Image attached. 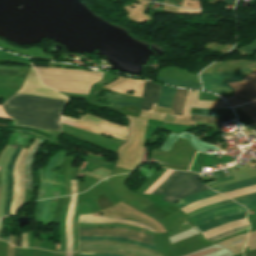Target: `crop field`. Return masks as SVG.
I'll list each match as a JSON object with an SVG mask.
<instances>
[{
    "label": "crop field",
    "mask_w": 256,
    "mask_h": 256,
    "mask_svg": "<svg viewBox=\"0 0 256 256\" xmlns=\"http://www.w3.org/2000/svg\"><path fill=\"white\" fill-rule=\"evenodd\" d=\"M67 102L15 94L0 109L14 124L60 131L59 116Z\"/></svg>",
    "instance_id": "obj_1"
},
{
    "label": "crop field",
    "mask_w": 256,
    "mask_h": 256,
    "mask_svg": "<svg viewBox=\"0 0 256 256\" xmlns=\"http://www.w3.org/2000/svg\"><path fill=\"white\" fill-rule=\"evenodd\" d=\"M42 83L56 91L88 94L104 73L34 66Z\"/></svg>",
    "instance_id": "obj_2"
},
{
    "label": "crop field",
    "mask_w": 256,
    "mask_h": 256,
    "mask_svg": "<svg viewBox=\"0 0 256 256\" xmlns=\"http://www.w3.org/2000/svg\"><path fill=\"white\" fill-rule=\"evenodd\" d=\"M254 184H256V177L245 180V181H241L238 183H233V184H229V185H225V186L216 187L212 190L222 193V192H226V191H230V190H234V189H238V188H242V187H246V186H250V185H254Z\"/></svg>",
    "instance_id": "obj_21"
},
{
    "label": "crop field",
    "mask_w": 256,
    "mask_h": 256,
    "mask_svg": "<svg viewBox=\"0 0 256 256\" xmlns=\"http://www.w3.org/2000/svg\"><path fill=\"white\" fill-rule=\"evenodd\" d=\"M79 236H116L153 244L152 236L125 229L79 228Z\"/></svg>",
    "instance_id": "obj_6"
},
{
    "label": "crop field",
    "mask_w": 256,
    "mask_h": 256,
    "mask_svg": "<svg viewBox=\"0 0 256 256\" xmlns=\"http://www.w3.org/2000/svg\"><path fill=\"white\" fill-rule=\"evenodd\" d=\"M255 188H256V185L250 186V187H246V188H242V189H238V190H234V191H230V192H226V193H222V194H225V195H227V196H230V195H234V194L246 192V191H248V190L255 189ZM253 192H256V189H255V190H251V191L246 192V193L238 194V195H235V196H230V197H231V198L240 197V196H244V195L251 194V193H253ZM252 196H256V193L251 194V195H248V196L240 197V198H235V199H233V200L236 201V200H240V199H244V198H248V197H252Z\"/></svg>",
    "instance_id": "obj_24"
},
{
    "label": "crop field",
    "mask_w": 256,
    "mask_h": 256,
    "mask_svg": "<svg viewBox=\"0 0 256 256\" xmlns=\"http://www.w3.org/2000/svg\"><path fill=\"white\" fill-rule=\"evenodd\" d=\"M156 80L164 82V83L176 85V86L201 89L200 85L197 84V83H191V82H185V81H180V80H174V79H169V78H164V77H159V76H157Z\"/></svg>",
    "instance_id": "obj_27"
},
{
    "label": "crop field",
    "mask_w": 256,
    "mask_h": 256,
    "mask_svg": "<svg viewBox=\"0 0 256 256\" xmlns=\"http://www.w3.org/2000/svg\"><path fill=\"white\" fill-rule=\"evenodd\" d=\"M114 105H133V106H139L140 104H134V103H113Z\"/></svg>",
    "instance_id": "obj_45"
},
{
    "label": "crop field",
    "mask_w": 256,
    "mask_h": 256,
    "mask_svg": "<svg viewBox=\"0 0 256 256\" xmlns=\"http://www.w3.org/2000/svg\"><path fill=\"white\" fill-rule=\"evenodd\" d=\"M80 244H114V245H120L144 252H148L154 255H159L162 256V254L158 251L150 250L147 248L123 243V242H115V241H80ZM79 252H99V253H118L124 256H154L151 254L123 248V247H118V246H113V245H80L79 247Z\"/></svg>",
    "instance_id": "obj_5"
},
{
    "label": "crop field",
    "mask_w": 256,
    "mask_h": 256,
    "mask_svg": "<svg viewBox=\"0 0 256 256\" xmlns=\"http://www.w3.org/2000/svg\"><path fill=\"white\" fill-rule=\"evenodd\" d=\"M248 228H249V225L244 226V227H240V228H237V229L229 230V231L224 232V233H222V234H220V235H217V236H215V237H212V238H210V239H208V240L216 241V240L225 238V237H227V236H230V235H232V234H234V233L247 230Z\"/></svg>",
    "instance_id": "obj_28"
},
{
    "label": "crop field",
    "mask_w": 256,
    "mask_h": 256,
    "mask_svg": "<svg viewBox=\"0 0 256 256\" xmlns=\"http://www.w3.org/2000/svg\"><path fill=\"white\" fill-rule=\"evenodd\" d=\"M174 92H175V88L162 86L158 105L170 108L171 103H172V99H173V96H174Z\"/></svg>",
    "instance_id": "obj_19"
},
{
    "label": "crop field",
    "mask_w": 256,
    "mask_h": 256,
    "mask_svg": "<svg viewBox=\"0 0 256 256\" xmlns=\"http://www.w3.org/2000/svg\"><path fill=\"white\" fill-rule=\"evenodd\" d=\"M43 140H39L38 143L34 146L33 150L31 151L27 163H26V173H27V188L32 189V181H33V176H32V160L33 157L38 150L39 146L42 144Z\"/></svg>",
    "instance_id": "obj_23"
},
{
    "label": "crop field",
    "mask_w": 256,
    "mask_h": 256,
    "mask_svg": "<svg viewBox=\"0 0 256 256\" xmlns=\"http://www.w3.org/2000/svg\"><path fill=\"white\" fill-rule=\"evenodd\" d=\"M78 256H121L118 254H92V253H78Z\"/></svg>",
    "instance_id": "obj_38"
},
{
    "label": "crop field",
    "mask_w": 256,
    "mask_h": 256,
    "mask_svg": "<svg viewBox=\"0 0 256 256\" xmlns=\"http://www.w3.org/2000/svg\"><path fill=\"white\" fill-rule=\"evenodd\" d=\"M254 71L250 69L229 71V72H217L206 73L201 75V79L205 90L213 91L221 96L232 95L234 89L227 83L242 81L243 77Z\"/></svg>",
    "instance_id": "obj_4"
},
{
    "label": "crop field",
    "mask_w": 256,
    "mask_h": 256,
    "mask_svg": "<svg viewBox=\"0 0 256 256\" xmlns=\"http://www.w3.org/2000/svg\"><path fill=\"white\" fill-rule=\"evenodd\" d=\"M199 176L192 172L175 171L152 194H166L163 200L174 204L189 195L208 190L198 178Z\"/></svg>",
    "instance_id": "obj_3"
},
{
    "label": "crop field",
    "mask_w": 256,
    "mask_h": 256,
    "mask_svg": "<svg viewBox=\"0 0 256 256\" xmlns=\"http://www.w3.org/2000/svg\"><path fill=\"white\" fill-rule=\"evenodd\" d=\"M9 149H10V147L7 146V148L4 150V152H3L2 155L0 156V164H1V162H2V160H3V158H4V156H5L6 152H7Z\"/></svg>",
    "instance_id": "obj_44"
},
{
    "label": "crop field",
    "mask_w": 256,
    "mask_h": 256,
    "mask_svg": "<svg viewBox=\"0 0 256 256\" xmlns=\"http://www.w3.org/2000/svg\"><path fill=\"white\" fill-rule=\"evenodd\" d=\"M52 180H53V193H52V197L58 196V190H59V185H58V180H57V176L55 174H52Z\"/></svg>",
    "instance_id": "obj_33"
},
{
    "label": "crop field",
    "mask_w": 256,
    "mask_h": 256,
    "mask_svg": "<svg viewBox=\"0 0 256 256\" xmlns=\"http://www.w3.org/2000/svg\"><path fill=\"white\" fill-rule=\"evenodd\" d=\"M178 137H183V138H187L189 139V142L198 150L205 152L206 150L198 147L197 145H195L191 139V134L189 133H183V134H178V135H174L171 133V135L168 137V139L163 143V145L160 147V149L162 150H169L170 147L173 145V143L176 141V139Z\"/></svg>",
    "instance_id": "obj_22"
},
{
    "label": "crop field",
    "mask_w": 256,
    "mask_h": 256,
    "mask_svg": "<svg viewBox=\"0 0 256 256\" xmlns=\"http://www.w3.org/2000/svg\"><path fill=\"white\" fill-rule=\"evenodd\" d=\"M76 195L72 196L66 220L67 252H72V219L75 208Z\"/></svg>",
    "instance_id": "obj_15"
},
{
    "label": "crop field",
    "mask_w": 256,
    "mask_h": 256,
    "mask_svg": "<svg viewBox=\"0 0 256 256\" xmlns=\"http://www.w3.org/2000/svg\"><path fill=\"white\" fill-rule=\"evenodd\" d=\"M15 151L14 148H11L3 162H2V165H1V188H0V218L3 217V212H4V203H5V189H6V168H7V164H8V161L11 157V155L13 154V152Z\"/></svg>",
    "instance_id": "obj_12"
},
{
    "label": "crop field",
    "mask_w": 256,
    "mask_h": 256,
    "mask_svg": "<svg viewBox=\"0 0 256 256\" xmlns=\"http://www.w3.org/2000/svg\"><path fill=\"white\" fill-rule=\"evenodd\" d=\"M40 177H41V184H40V190H39V199H43L45 195V177L43 169H39Z\"/></svg>",
    "instance_id": "obj_31"
},
{
    "label": "crop field",
    "mask_w": 256,
    "mask_h": 256,
    "mask_svg": "<svg viewBox=\"0 0 256 256\" xmlns=\"http://www.w3.org/2000/svg\"><path fill=\"white\" fill-rule=\"evenodd\" d=\"M60 151L55 154L54 156H52L46 166H45V177H46V180H47V185H46V195H45V198H48V197H51V193H52V180H51V177H50V169L51 167L53 166V164L55 163L58 155H59Z\"/></svg>",
    "instance_id": "obj_20"
},
{
    "label": "crop field",
    "mask_w": 256,
    "mask_h": 256,
    "mask_svg": "<svg viewBox=\"0 0 256 256\" xmlns=\"http://www.w3.org/2000/svg\"><path fill=\"white\" fill-rule=\"evenodd\" d=\"M49 200H50V199L45 200L44 206H43V210H42V219H41V222H42V224H44V225H46V223H47V211H48V207H49Z\"/></svg>",
    "instance_id": "obj_32"
},
{
    "label": "crop field",
    "mask_w": 256,
    "mask_h": 256,
    "mask_svg": "<svg viewBox=\"0 0 256 256\" xmlns=\"http://www.w3.org/2000/svg\"><path fill=\"white\" fill-rule=\"evenodd\" d=\"M225 199H228L224 196H222L221 194L219 195H216L214 197H211V198H208V199H204V200H201V201H197V202H194L184 208H182L186 213L188 212H191L197 208H200V207H203V206H206V205H209V204H213V203H216V202H219V201H222V200H225ZM228 202H232L231 199H228V200H225V201H222V202H219V203H216V204H213V205H210V206H206V207H203V208H200V209H197L191 213H188L190 216L198 213V212H202V211H205L209 208H212V207H216V206H219V205H222V204H225V203H228Z\"/></svg>",
    "instance_id": "obj_8"
},
{
    "label": "crop field",
    "mask_w": 256,
    "mask_h": 256,
    "mask_svg": "<svg viewBox=\"0 0 256 256\" xmlns=\"http://www.w3.org/2000/svg\"><path fill=\"white\" fill-rule=\"evenodd\" d=\"M224 2H227V3H231V4H233V2L235 1V0H223Z\"/></svg>",
    "instance_id": "obj_47"
},
{
    "label": "crop field",
    "mask_w": 256,
    "mask_h": 256,
    "mask_svg": "<svg viewBox=\"0 0 256 256\" xmlns=\"http://www.w3.org/2000/svg\"><path fill=\"white\" fill-rule=\"evenodd\" d=\"M188 91L176 90V94L173 101L172 110H175L176 115H183V109L185 104V99Z\"/></svg>",
    "instance_id": "obj_18"
},
{
    "label": "crop field",
    "mask_w": 256,
    "mask_h": 256,
    "mask_svg": "<svg viewBox=\"0 0 256 256\" xmlns=\"http://www.w3.org/2000/svg\"><path fill=\"white\" fill-rule=\"evenodd\" d=\"M2 225H3V221L1 220L0 221V234H1V231H2Z\"/></svg>",
    "instance_id": "obj_48"
},
{
    "label": "crop field",
    "mask_w": 256,
    "mask_h": 256,
    "mask_svg": "<svg viewBox=\"0 0 256 256\" xmlns=\"http://www.w3.org/2000/svg\"><path fill=\"white\" fill-rule=\"evenodd\" d=\"M247 224L248 223H247L246 219L237 220V221H234V222H231V223L219 226V227H217L215 229L206 231V232L203 233V235L207 239L209 237L215 236V235L220 234V233H222L224 231H227L229 229L240 227V226L247 225Z\"/></svg>",
    "instance_id": "obj_16"
},
{
    "label": "crop field",
    "mask_w": 256,
    "mask_h": 256,
    "mask_svg": "<svg viewBox=\"0 0 256 256\" xmlns=\"http://www.w3.org/2000/svg\"><path fill=\"white\" fill-rule=\"evenodd\" d=\"M236 202L247 207L248 210L256 208V197H252V198H248V199H244Z\"/></svg>",
    "instance_id": "obj_29"
},
{
    "label": "crop field",
    "mask_w": 256,
    "mask_h": 256,
    "mask_svg": "<svg viewBox=\"0 0 256 256\" xmlns=\"http://www.w3.org/2000/svg\"><path fill=\"white\" fill-rule=\"evenodd\" d=\"M71 190H72V194L77 193L76 181L71 180Z\"/></svg>",
    "instance_id": "obj_42"
},
{
    "label": "crop field",
    "mask_w": 256,
    "mask_h": 256,
    "mask_svg": "<svg viewBox=\"0 0 256 256\" xmlns=\"http://www.w3.org/2000/svg\"><path fill=\"white\" fill-rule=\"evenodd\" d=\"M67 256H72V253H67Z\"/></svg>",
    "instance_id": "obj_49"
},
{
    "label": "crop field",
    "mask_w": 256,
    "mask_h": 256,
    "mask_svg": "<svg viewBox=\"0 0 256 256\" xmlns=\"http://www.w3.org/2000/svg\"><path fill=\"white\" fill-rule=\"evenodd\" d=\"M213 175L215 176L216 180H217V179H221V178H225V175H224V173H223L221 170H220V171L213 172ZM229 179H233V177L230 176V177L225 178V179H221V180H217V181H214V182L207 183L206 185H207V186L213 185V184H216V183H218V182L226 181V180H229Z\"/></svg>",
    "instance_id": "obj_30"
},
{
    "label": "crop field",
    "mask_w": 256,
    "mask_h": 256,
    "mask_svg": "<svg viewBox=\"0 0 256 256\" xmlns=\"http://www.w3.org/2000/svg\"><path fill=\"white\" fill-rule=\"evenodd\" d=\"M239 50H241V51H243L247 54H250V53L256 51V41L254 43L246 46V47H243V48L239 49Z\"/></svg>",
    "instance_id": "obj_36"
},
{
    "label": "crop field",
    "mask_w": 256,
    "mask_h": 256,
    "mask_svg": "<svg viewBox=\"0 0 256 256\" xmlns=\"http://www.w3.org/2000/svg\"><path fill=\"white\" fill-rule=\"evenodd\" d=\"M22 247H27V232H22Z\"/></svg>",
    "instance_id": "obj_40"
},
{
    "label": "crop field",
    "mask_w": 256,
    "mask_h": 256,
    "mask_svg": "<svg viewBox=\"0 0 256 256\" xmlns=\"http://www.w3.org/2000/svg\"><path fill=\"white\" fill-rule=\"evenodd\" d=\"M66 153H67L66 151L62 150V152H61V154H60V156H59L57 162L55 163L54 167L60 165V163L62 162V160H63V158L65 157Z\"/></svg>",
    "instance_id": "obj_39"
},
{
    "label": "crop field",
    "mask_w": 256,
    "mask_h": 256,
    "mask_svg": "<svg viewBox=\"0 0 256 256\" xmlns=\"http://www.w3.org/2000/svg\"><path fill=\"white\" fill-rule=\"evenodd\" d=\"M213 117H215V118H217V119H219V120H221V121H223V120H226V119H227V118H225V117H223V116H221V115H219V114H217V113H215V112H214Z\"/></svg>",
    "instance_id": "obj_43"
},
{
    "label": "crop field",
    "mask_w": 256,
    "mask_h": 256,
    "mask_svg": "<svg viewBox=\"0 0 256 256\" xmlns=\"http://www.w3.org/2000/svg\"><path fill=\"white\" fill-rule=\"evenodd\" d=\"M209 117H204V116H195V115H192L191 119L192 121H196V120H205V119H208Z\"/></svg>",
    "instance_id": "obj_41"
},
{
    "label": "crop field",
    "mask_w": 256,
    "mask_h": 256,
    "mask_svg": "<svg viewBox=\"0 0 256 256\" xmlns=\"http://www.w3.org/2000/svg\"><path fill=\"white\" fill-rule=\"evenodd\" d=\"M16 246H21L20 238L16 236Z\"/></svg>",
    "instance_id": "obj_46"
},
{
    "label": "crop field",
    "mask_w": 256,
    "mask_h": 256,
    "mask_svg": "<svg viewBox=\"0 0 256 256\" xmlns=\"http://www.w3.org/2000/svg\"><path fill=\"white\" fill-rule=\"evenodd\" d=\"M107 239H111V240H115V241L128 242V243H132V244H136V245H139V246H143V247H147V248H150V249L157 250V248L155 246L148 245V244H143V243H139V242L123 239V238H116V237H80V240H107Z\"/></svg>",
    "instance_id": "obj_26"
},
{
    "label": "crop field",
    "mask_w": 256,
    "mask_h": 256,
    "mask_svg": "<svg viewBox=\"0 0 256 256\" xmlns=\"http://www.w3.org/2000/svg\"><path fill=\"white\" fill-rule=\"evenodd\" d=\"M79 222H92V223H125L134 225L136 227L144 228L147 230L153 231L152 228L143 225L138 222L130 221V220H124V219H117V218H110V217H98V216H91V214L88 215H82L80 216Z\"/></svg>",
    "instance_id": "obj_10"
},
{
    "label": "crop field",
    "mask_w": 256,
    "mask_h": 256,
    "mask_svg": "<svg viewBox=\"0 0 256 256\" xmlns=\"http://www.w3.org/2000/svg\"><path fill=\"white\" fill-rule=\"evenodd\" d=\"M79 227H117V228H125V229H129V230L141 232V233L152 235V236L154 235V232H150V231H146V230H142V229H138L135 227L126 226V225H101V224L79 223Z\"/></svg>",
    "instance_id": "obj_25"
},
{
    "label": "crop field",
    "mask_w": 256,
    "mask_h": 256,
    "mask_svg": "<svg viewBox=\"0 0 256 256\" xmlns=\"http://www.w3.org/2000/svg\"><path fill=\"white\" fill-rule=\"evenodd\" d=\"M192 138H193L195 144H197V145H199V146H201V147H203V148H205V149L219 150L218 148H216V147L213 146V145H208V144H206V143L201 142L200 140H198V139L195 138L194 136H192Z\"/></svg>",
    "instance_id": "obj_35"
},
{
    "label": "crop field",
    "mask_w": 256,
    "mask_h": 256,
    "mask_svg": "<svg viewBox=\"0 0 256 256\" xmlns=\"http://www.w3.org/2000/svg\"><path fill=\"white\" fill-rule=\"evenodd\" d=\"M39 140V138L36 139V142L27 150V152L25 153V155L22 158L21 164L19 166V169L21 171V183H20V192H19V200H18V207L22 206L23 203V198H24V192H25V182H26V174H25V162H26V158L29 154V152L31 151V149L33 148V146L37 143V141Z\"/></svg>",
    "instance_id": "obj_17"
},
{
    "label": "crop field",
    "mask_w": 256,
    "mask_h": 256,
    "mask_svg": "<svg viewBox=\"0 0 256 256\" xmlns=\"http://www.w3.org/2000/svg\"><path fill=\"white\" fill-rule=\"evenodd\" d=\"M44 200L38 202L37 209H36V223L39 224L41 218V210L43 206Z\"/></svg>",
    "instance_id": "obj_37"
},
{
    "label": "crop field",
    "mask_w": 256,
    "mask_h": 256,
    "mask_svg": "<svg viewBox=\"0 0 256 256\" xmlns=\"http://www.w3.org/2000/svg\"><path fill=\"white\" fill-rule=\"evenodd\" d=\"M56 200H57V198H54V199H52V202L50 201L51 202V207H50V211H49L48 225L53 223V215H54Z\"/></svg>",
    "instance_id": "obj_34"
},
{
    "label": "crop field",
    "mask_w": 256,
    "mask_h": 256,
    "mask_svg": "<svg viewBox=\"0 0 256 256\" xmlns=\"http://www.w3.org/2000/svg\"><path fill=\"white\" fill-rule=\"evenodd\" d=\"M21 148L16 150L15 153L12 155L9 166L7 169V190H6V204H5V213L4 216L9 215V206H10V201H11V196H12V189H13V178H12V172H13V167L15 160L20 152Z\"/></svg>",
    "instance_id": "obj_11"
},
{
    "label": "crop field",
    "mask_w": 256,
    "mask_h": 256,
    "mask_svg": "<svg viewBox=\"0 0 256 256\" xmlns=\"http://www.w3.org/2000/svg\"><path fill=\"white\" fill-rule=\"evenodd\" d=\"M245 213H246V211L240 212V213H237V214H233V215H230V216L218 218V219L212 220L210 222H207V223L202 224V225L197 226V227L203 232V231H206V230H208L212 227L219 226V225L225 224V223L233 221V220L246 218Z\"/></svg>",
    "instance_id": "obj_14"
},
{
    "label": "crop field",
    "mask_w": 256,
    "mask_h": 256,
    "mask_svg": "<svg viewBox=\"0 0 256 256\" xmlns=\"http://www.w3.org/2000/svg\"><path fill=\"white\" fill-rule=\"evenodd\" d=\"M160 86L145 81V87L143 91V102L141 104V109L143 110H150L153 102H158L159 93H160Z\"/></svg>",
    "instance_id": "obj_9"
},
{
    "label": "crop field",
    "mask_w": 256,
    "mask_h": 256,
    "mask_svg": "<svg viewBox=\"0 0 256 256\" xmlns=\"http://www.w3.org/2000/svg\"><path fill=\"white\" fill-rule=\"evenodd\" d=\"M190 107L199 108L200 114L209 116L217 108H228L223 101H198V92L194 91L188 92L184 115L189 114Z\"/></svg>",
    "instance_id": "obj_7"
},
{
    "label": "crop field",
    "mask_w": 256,
    "mask_h": 256,
    "mask_svg": "<svg viewBox=\"0 0 256 256\" xmlns=\"http://www.w3.org/2000/svg\"><path fill=\"white\" fill-rule=\"evenodd\" d=\"M24 151H25V149L22 148V150L17 158V161L15 163L14 172H18V163H19ZM13 177H14V190H13V196H12V201H11V206H10V215L14 213V211L16 210V207H17L19 182H20L19 173H14Z\"/></svg>",
    "instance_id": "obj_13"
}]
</instances>
